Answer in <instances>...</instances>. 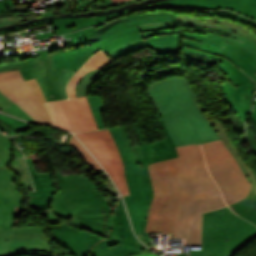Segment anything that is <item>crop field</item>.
I'll use <instances>...</instances> for the list:
<instances>
[{"label":"crop field","instance_id":"obj_36","mask_svg":"<svg viewBox=\"0 0 256 256\" xmlns=\"http://www.w3.org/2000/svg\"><path fill=\"white\" fill-rule=\"evenodd\" d=\"M141 34L144 38L165 35V34H177V29L149 31V32H143Z\"/></svg>","mask_w":256,"mask_h":256},{"label":"crop field","instance_id":"obj_40","mask_svg":"<svg viewBox=\"0 0 256 256\" xmlns=\"http://www.w3.org/2000/svg\"><path fill=\"white\" fill-rule=\"evenodd\" d=\"M0 126H1V129L6 131L8 134H10V135L16 134L17 135V133L14 130H12L11 128H9L8 126H6L5 124H3L1 122H0Z\"/></svg>","mask_w":256,"mask_h":256},{"label":"crop field","instance_id":"obj_29","mask_svg":"<svg viewBox=\"0 0 256 256\" xmlns=\"http://www.w3.org/2000/svg\"><path fill=\"white\" fill-rule=\"evenodd\" d=\"M87 99H88V102L91 106L93 116L96 120V123H97L99 129L105 128V125H104V122H103V119H102V115H101V112H103L104 109H103L100 97L87 96Z\"/></svg>","mask_w":256,"mask_h":256},{"label":"crop field","instance_id":"obj_41","mask_svg":"<svg viewBox=\"0 0 256 256\" xmlns=\"http://www.w3.org/2000/svg\"><path fill=\"white\" fill-rule=\"evenodd\" d=\"M255 98H256V96H255ZM250 118H251V120H252V122H253V124H254V126L256 128V99L254 101V110L251 113Z\"/></svg>","mask_w":256,"mask_h":256},{"label":"crop field","instance_id":"obj_28","mask_svg":"<svg viewBox=\"0 0 256 256\" xmlns=\"http://www.w3.org/2000/svg\"><path fill=\"white\" fill-rule=\"evenodd\" d=\"M12 157V142L9 137L0 134V167H8Z\"/></svg>","mask_w":256,"mask_h":256},{"label":"crop field","instance_id":"obj_2","mask_svg":"<svg viewBox=\"0 0 256 256\" xmlns=\"http://www.w3.org/2000/svg\"><path fill=\"white\" fill-rule=\"evenodd\" d=\"M176 148L179 158L148 166L154 197L145 232L170 233L185 238L186 244H201L202 213L226 204L206 169L200 146Z\"/></svg>","mask_w":256,"mask_h":256},{"label":"crop field","instance_id":"obj_27","mask_svg":"<svg viewBox=\"0 0 256 256\" xmlns=\"http://www.w3.org/2000/svg\"><path fill=\"white\" fill-rule=\"evenodd\" d=\"M116 65L115 63L110 65V66H114ZM110 66L104 68V69H107L109 68ZM102 69V70H104ZM98 71V70H94L88 74H86L83 79L80 81V83L78 84L77 86V89H76V94H77V97L80 96H85L88 89H89V86L98 79V77L100 76V72L102 71Z\"/></svg>","mask_w":256,"mask_h":256},{"label":"crop field","instance_id":"obj_15","mask_svg":"<svg viewBox=\"0 0 256 256\" xmlns=\"http://www.w3.org/2000/svg\"><path fill=\"white\" fill-rule=\"evenodd\" d=\"M176 24H192L206 26L212 29L224 31L228 34L236 33L256 41V35L248 28L239 26L233 22L215 18H194L176 15V22L144 23L137 25L140 32L157 29L177 28Z\"/></svg>","mask_w":256,"mask_h":256},{"label":"crop field","instance_id":"obj_47","mask_svg":"<svg viewBox=\"0 0 256 256\" xmlns=\"http://www.w3.org/2000/svg\"><path fill=\"white\" fill-rule=\"evenodd\" d=\"M232 255V254H231ZM233 256V255H232Z\"/></svg>","mask_w":256,"mask_h":256},{"label":"crop field","instance_id":"obj_13","mask_svg":"<svg viewBox=\"0 0 256 256\" xmlns=\"http://www.w3.org/2000/svg\"><path fill=\"white\" fill-rule=\"evenodd\" d=\"M14 180L15 176L10 170L0 168V227L6 230L13 226L16 216L27 211L26 207L20 206L26 197L11 183Z\"/></svg>","mask_w":256,"mask_h":256},{"label":"crop field","instance_id":"obj_6","mask_svg":"<svg viewBox=\"0 0 256 256\" xmlns=\"http://www.w3.org/2000/svg\"><path fill=\"white\" fill-rule=\"evenodd\" d=\"M209 171L218 183L227 202H236L249 193L248 183L241 169L221 140L201 144Z\"/></svg>","mask_w":256,"mask_h":256},{"label":"crop field","instance_id":"obj_25","mask_svg":"<svg viewBox=\"0 0 256 256\" xmlns=\"http://www.w3.org/2000/svg\"><path fill=\"white\" fill-rule=\"evenodd\" d=\"M145 48H148V46H147L144 38H142V39H138L133 42L124 44L118 48H115V49L107 52L106 54L110 55L112 58H114L116 60L122 56L131 54L135 51L142 50Z\"/></svg>","mask_w":256,"mask_h":256},{"label":"crop field","instance_id":"obj_39","mask_svg":"<svg viewBox=\"0 0 256 256\" xmlns=\"http://www.w3.org/2000/svg\"><path fill=\"white\" fill-rule=\"evenodd\" d=\"M9 4L6 0H0V13L9 12L8 8Z\"/></svg>","mask_w":256,"mask_h":256},{"label":"crop field","instance_id":"obj_5","mask_svg":"<svg viewBox=\"0 0 256 256\" xmlns=\"http://www.w3.org/2000/svg\"><path fill=\"white\" fill-rule=\"evenodd\" d=\"M256 237V227L228 207L203 214L201 250L190 256H228Z\"/></svg>","mask_w":256,"mask_h":256},{"label":"crop field","instance_id":"obj_24","mask_svg":"<svg viewBox=\"0 0 256 256\" xmlns=\"http://www.w3.org/2000/svg\"><path fill=\"white\" fill-rule=\"evenodd\" d=\"M156 55L181 52V36L165 35L146 39Z\"/></svg>","mask_w":256,"mask_h":256},{"label":"crop field","instance_id":"obj_30","mask_svg":"<svg viewBox=\"0 0 256 256\" xmlns=\"http://www.w3.org/2000/svg\"><path fill=\"white\" fill-rule=\"evenodd\" d=\"M68 145L72 146L91 166L93 170L101 168L99 164L92 158V156L86 151V149L79 143V141L75 137L71 136Z\"/></svg>","mask_w":256,"mask_h":256},{"label":"crop field","instance_id":"obj_18","mask_svg":"<svg viewBox=\"0 0 256 256\" xmlns=\"http://www.w3.org/2000/svg\"><path fill=\"white\" fill-rule=\"evenodd\" d=\"M52 233L55 234L61 245L75 256H87L88 251L94 245L106 238V236L93 234L69 223L53 230Z\"/></svg>","mask_w":256,"mask_h":256},{"label":"crop field","instance_id":"obj_33","mask_svg":"<svg viewBox=\"0 0 256 256\" xmlns=\"http://www.w3.org/2000/svg\"><path fill=\"white\" fill-rule=\"evenodd\" d=\"M0 121L14 129L16 132L25 131L33 127L30 124L0 114Z\"/></svg>","mask_w":256,"mask_h":256},{"label":"crop field","instance_id":"obj_11","mask_svg":"<svg viewBox=\"0 0 256 256\" xmlns=\"http://www.w3.org/2000/svg\"><path fill=\"white\" fill-rule=\"evenodd\" d=\"M37 55L17 63L24 80L35 77L48 102L62 99L57 80L63 68L54 66L44 50L37 51Z\"/></svg>","mask_w":256,"mask_h":256},{"label":"crop field","instance_id":"obj_32","mask_svg":"<svg viewBox=\"0 0 256 256\" xmlns=\"http://www.w3.org/2000/svg\"><path fill=\"white\" fill-rule=\"evenodd\" d=\"M0 233L1 234H38V233H45V230L41 226L10 228L7 231L0 228Z\"/></svg>","mask_w":256,"mask_h":256},{"label":"crop field","instance_id":"obj_45","mask_svg":"<svg viewBox=\"0 0 256 256\" xmlns=\"http://www.w3.org/2000/svg\"><path fill=\"white\" fill-rule=\"evenodd\" d=\"M113 3H116V2H122V1H127V0H112Z\"/></svg>","mask_w":256,"mask_h":256},{"label":"crop field","instance_id":"obj_46","mask_svg":"<svg viewBox=\"0 0 256 256\" xmlns=\"http://www.w3.org/2000/svg\"><path fill=\"white\" fill-rule=\"evenodd\" d=\"M180 256H185V253L182 252V255H180Z\"/></svg>","mask_w":256,"mask_h":256},{"label":"crop field","instance_id":"obj_42","mask_svg":"<svg viewBox=\"0 0 256 256\" xmlns=\"http://www.w3.org/2000/svg\"><path fill=\"white\" fill-rule=\"evenodd\" d=\"M248 76H250L253 81L256 83V74H252V73H248V72H245Z\"/></svg>","mask_w":256,"mask_h":256},{"label":"crop field","instance_id":"obj_3","mask_svg":"<svg viewBox=\"0 0 256 256\" xmlns=\"http://www.w3.org/2000/svg\"><path fill=\"white\" fill-rule=\"evenodd\" d=\"M63 182L64 191L56 193L51 211L64 219L72 216L74 219L69 223L74 226L152 253L131 231L121 198L117 205V214L111 216L107 200L99 194L95 184L87 177L66 179Z\"/></svg>","mask_w":256,"mask_h":256},{"label":"crop field","instance_id":"obj_38","mask_svg":"<svg viewBox=\"0 0 256 256\" xmlns=\"http://www.w3.org/2000/svg\"><path fill=\"white\" fill-rule=\"evenodd\" d=\"M13 69H18L16 63L0 65V72L1 71L13 70Z\"/></svg>","mask_w":256,"mask_h":256},{"label":"crop field","instance_id":"obj_34","mask_svg":"<svg viewBox=\"0 0 256 256\" xmlns=\"http://www.w3.org/2000/svg\"><path fill=\"white\" fill-rule=\"evenodd\" d=\"M12 169L16 170L18 174H23L24 176L21 177L22 184L26 187V190H33L30 175L27 171V167H21L18 159L15 160L14 164L11 166Z\"/></svg>","mask_w":256,"mask_h":256},{"label":"crop field","instance_id":"obj_4","mask_svg":"<svg viewBox=\"0 0 256 256\" xmlns=\"http://www.w3.org/2000/svg\"><path fill=\"white\" fill-rule=\"evenodd\" d=\"M175 21L168 13L137 14L111 22L99 30L94 27L64 35L65 46L46 49L56 66L77 70L94 53L107 52L121 44L141 38L135 24L143 22Z\"/></svg>","mask_w":256,"mask_h":256},{"label":"crop field","instance_id":"obj_16","mask_svg":"<svg viewBox=\"0 0 256 256\" xmlns=\"http://www.w3.org/2000/svg\"><path fill=\"white\" fill-rule=\"evenodd\" d=\"M197 105L199 106L200 110L205 111L206 108L200 105L198 99L194 100ZM201 111V112H202ZM208 121L211 123L213 128L215 129L217 135L220 137L222 142L225 144V146L229 149V151L232 153L235 161L238 163L242 171L244 172L248 182H252L251 191L247 195V197L243 200H240L232 205H230V209L236 212L238 215L242 214L244 212L250 211L255 207V205L250 201L252 199H256V175L254 172L248 167V165L245 163L243 158L241 157L240 153L237 151L233 143L230 141L224 127L220 123L219 120H214L213 117H207ZM252 194V195H251ZM235 213V214H236Z\"/></svg>","mask_w":256,"mask_h":256},{"label":"crop field","instance_id":"obj_19","mask_svg":"<svg viewBox=\"0 0 256 256\" xmlns=\"http://www.w3.org/2000/svg\"><path fill=\"white\" fill-rule=\"evenodd\" d=\"M30 168L36 192H28L31 206L36 210L50 209V203L54 194L58 191L53 187V179L50 172L38 174L33 163L32 155H25ZM57 180L60 190H63L61 172H57Z\"/></svg>","mask_w":256,"mask_h":256},{"label":"crop field","instance_id":"obj_17","mask_svg":"<svg viewBox=\"0 0 256 256\" xmlns=\"http://www.w3.org/2000/svg\"><path fill=\"white\" fill-rule=\"evenodd\" d=\"M178 34L182 35V44L195 46L218 55H220L227 41L256 53V44L238 35H232L228 40V37L197 29L193 33L178 32Z\"/></svg>","mask_w":256,"mask_h":256},{"label":"crop field","instance_id":"obj_35","mask_svg":"<svg viewBox=\"0 0 256 256\" xmlns=\"http://www.w3.org/2000/svg\"><path fill=\"white\" fill-rule=\"evenodd\" d=\"M75 73L73 70L69 69H63L62 74L59 78L58 84H59V91L61 93V96L63 99L68 98L67 93L65 92V85L67 84L68 80L71 78V76Z\"/></svg>","mask_w":256,"mask_h":256},{"label":"crop field","instance_id":"obj_10","mask_svg":"<svg viewBox=\"0 0 256 256\" xmlns=\"http://www.w3.org/2000/svg\"><path fill=\"white\" fill-rule=\"evenodd\" d=\"M55 126L72 132L97 130L86 97L48 103Z\"/></svg>","mask_w":256,"mask_h":256},{"label":"crop field","instance_id":"obj_48","mask_svg":"<svg viewBox=\"0 0 256 256\" xmlns=\"http://www.w3.org/2000/svg\"><path fill=\"white\" fill-rule=\"evenodd\" d=\"M1 131V130H0Z\"/></svg>","mask_w":256,"mask_h":256},{"label":"crop field","instance_id":"obj_7","mask_svg":"<svg viewBox=\"0 0 256 256\" xmlns=\"http://www.w3.org/2000/svg\"><path fill=\"white\" fill-rule=\"evenodd\" d=\"M182 49L212 57L222 63L217 67L227 76L229 80L223 85L217 87L225 96L223 100L232 109L244 126V121L252 107L253 93L256 91L253 81L243 74L230 61L222 57L189 47L182 46Z\"/></svg>","mask_w":256,"mask_h":256},{"label":"crop field","instance_id":"obj_23","mask_svg":"<svg viewBox=\"0 0 256 256\" xmlns=\"http://www.w3.org/2000/svg\"><path fill=\"white\" fill-rule=\"evenodd\" d=\"M114 61L106 56L102 51L94 55L79 71L73 76L70 83L67 86L69 98L75 97V88L83 75L93 69H101Z\"/></svg>","mask_w":256,"mask_h":256},{"label":"crop field","instance_id":"obj_12","mask_svg":"<svg viewBox=\"0 0 256 256\" xmlns=\"http://www.w3.org/2000/svg\"><path fill=\"white\" fill-rule=\"evenodd\" d=\"M27 254L55 256L51 246V239H48L46 234H0V256H14Z\"/></svg>","mask_w":256,"mask_h":256},{"label":"crop field","instance_id":"obj_44","mask_svg":"<svg viewBox=\"0 0 256 256\" xmlns=\"http://www.w3.org/2000/svg\"><path fill=\"white\" fill-rule=\"evenodd\" d=\"M133 1H137V0H131V1L122 2V3H128V2H133ZM122 3H116L115 5L122 4Z\"/></svg>","mask_w":256,"mask_h":256},{"label":"crop field","instance_id":"obj_43","mask_svg":"<svg viewBox=\"0 0 256 256\" xmlns=\"http://www.w3.org/2000/svg\"><path fill=\"white\" fill-rule=\"evenodd\" d=\"M133 256H157V255L148 254V253H143V254H136V255H133Z\"/></svg>","mask_w":256,"mask_h":256},{"label":"crop field","instance_id":"obj_14","mask_svg":"<svg viewBox=\"0 0 256 256\" xmlns=\"http://www.w3.org/2000/svg\"><path fill=\"white\" fill-rule=\"evenodd\" d=\"M158 8L230 9L256 20V0H165Z\"/></svg>","mask_w":256,"mask_h":256},{"label":"crop field","instance_id":"obj_37","mask_svg":"<svg viewBox=\"0 0 256 256\" xmlns=\"http://www.w3.org/2000/svg\"><path fill=\"white\" fill-rule=\"evenodd\" d=\"M252 202L256 205V200H253ZM239 216L243 217L244 219H246L256 225V209H254L250 212L244 213L242 215H239Z\"/></svg>","mask_w":256,"mask_h":256},{"label":"crop field","instance_id":"obj_22","mask_svg":"<svg viewBox=\"0 0 256 256\" xmlns=\"http://www.w3.org/2000/svg\"><path fill=\"white\" fill-rule=\"evenodd\" d=\"M143 252V250L105 239L94 246L92 250L89 251L88 256H130L132 254Z\"/></svg>","mask_w":256,"mask_h":256},{"label":"crop field","instance_id":"obj_8","mask_svg":"<svg viewBox=\"0 0 256 256\" xmlns=\"http://www.w3.org/2000/svg\"><path fill=\"white\" fill-rule=\"evenodd\" d=\"M0 91L23 108L38 123L53 126L44 106L47 101L35 78L24 81L18 70L1 72Z\"/></svg>","mask_w":256,"mask_h":256},{"label":"crop field","instance_id":"obj_9","mask_svg":"<svg viewBox=\"0 0 256 256\" xmlns=\"http://www.w3.org/2000/svg\"><path fill=\"white\" fill-rule=\"evenodd\" d=\"M76 136L103 165L122 195L129 194L124 178L123 164L109 130L78 133Z\"/></svg>","mask_w":256,"mask_h":256},{"label":"crop field","instance_id":"obj_31","mask_svg":"<svg viewBox=\"0 0 256 256\" xmlns=\"http://www.w3.org/2000/svg\"><path fill=\"white\" fill-rule=\"evenodd\" d=\"M192 12H199V13H206V14L222 16V17L230 18V19L240 21V22H243V23H247V24H250V25L256 27V22L255 21L243 18V17H241L239 15H236V14H234L232 12H229V11H192Z\"/></svg>","mask_w":256,"mask_h":256},{"label":"crop field","instance_id":"obj_20","mask_svg":"<svg viewBox=\"0 0 256 256\" xmlns=\"http://www.w3.org/2000/svg\"><path fill=\"white\" fill-rule=\"evenodd\" d=\"M157 9L156 4H150V5H145L141 7L134 8L132 10H125L121 13H115L107 16H97V17H90V18H64V19H52L49 20L53 32H46V33H41L35 35L37 40L48 38L49 35L51 34H65L68 32L75 31L77 29H83L92 25H96L99 23H102L108 19L125 15L128 13L140 11V10H153Z\"/></svg>","mask_w":256,"mask_h":256},{"label":"crop field","instance_id":"obj_26","mask_svg":"<svg viewBox=\"0 0 256 256\" xmlns=\"http://www.w3.org/2000/svg\"><path fill=\"white\" fill-rule=\"evenodd\" d=\"M1 93V92H0ZM0 109L5 110V113L10 115L35 122L28 114H26L21 108L14 104L7 97L0 94Z\"/></svg>","mask_w":256,"mask_h":256},{"label":"crop field","instance_id":"obj_21","mask_svg":"<svg viewBox=\"0 0 256 256\" xmlns=\"http://www.w3.org/2000/svg\"><path fill=\"white\" fill-rule=\"evenodd\" d=\"M221 55L227 57L229 60L236 63L244 71L256 73V54L255 53L250 52L246 49L237 47L230 43H227Z\"/></svg>","mask_w":256,"mask_h":256},{"label":"crop field","instance_id":"obj_1","mask_svg":"<svg viewBox=\"0 0 256 256\" xmlns=\"http://www.w3.org/2000/svg\"><path fill=\"white\" fill-rule=\"evenodd\" d=\"M148 95L162 119L157 120L165 137L148 144L138 123L133 124L140 145L132 146L126 127L109 129L124 163L130 195L123 196L133 228L149 248L157 250L144 233L153 189L147 165L176 158L175 146L218 140L198 109L192 86L183 77H172L148 86ZM137 213V214H136Z\"/></svg>","mask_w":256,"mask_h":256}]
</instances>
